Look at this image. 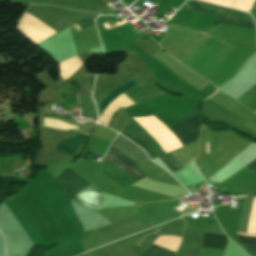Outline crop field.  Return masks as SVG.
Returning a JSON list of instances; mask_svg holds the SVG:
<instances>
[{"label":"crop field","mask_w":256,"mask_h":256,"mask_svg":"<svg viewBox=\"0 0 256 256\" xmlns=\"http://www.w3.org/2000/svg\"><path fill=\"white\" fill-rule=\"evenodd\" d=\"M134 86L133 81L131 80L130 82L126 83L125 85L121 86L118 88L116 91H114L112 94H110L98 107L101 111L104 110V108L111 102L113 101L120 93L123 91L129 89L130 87Z\"/></svg>","instance_id":"crop-field-8"},{"label":"crop field","mask_w":256,"mask_h":256,"mask_svg":"<svg viewBox=\"0 0 256 256\" xmlns=\"http://www.w3.org/2000/svg\"><path fill=\"white\" fill-rule=\"evenodd\" d=\"M169 129L183 146L190 144L198 140L200 116H193L175 126L169 127ZM121 134L138 143L151 159L165 154L157 142L133 118L129 119Z\"/></svg>","instance_id":"crop-field-2"},{"label":"crop field","mask_w":256,"mask_h":256,"mask_svg":"<svg viewBox=\"0 0 256 256\" xmlns=\"http://www.w3.org/2000/svg\"><path fill=\"white\" fill-rule=\"evenodd\" d=\"M112 147L122 152L136 165L149 159L139 147L135 146L121 135H118L116 140L113 142ZM112 147L110 148L107 161L117 166L137 180L145 177L131 160H129L126 156ZM109 162L106 163V167L102 175L118 183L124 189L137 181Z\"/></svg>","instance_id":"crop-field-1"},{"label":"crop field","mask_w":256,"mask_h":256,"mask_svg":"<svg viewBox=\"0 0 256 256\" xmlns=\"http://www.w3.org/2000/svg\"><path fill=\"white\" fill-rule=\"evenodd\" d=\"M227 238L204 234L202 249L223 253Z\"/></svg>","instance_id":"crop-field-6"},{"label":"crop field","mask_w":256,"mask_h":256,"mask_svg":"<svg viewBox=\"0 0 256 256\" xmlns=\"http://www.w3.org/2000/svg\"><path fill=\"white\" fill-rule=\"evenodd\" d=\"M43 126L60 129V130H65V131H67L68 129L78 130V127H76L72 124L65 123V122H62L59 120H55V119H48V118H44Z\"/></svg>","instance_id":"crop-field-7"},{"label":"crop field","mask_w":256,"mask_h":256,"mask_svg":"<svg viewBox=\"0 0 256 256\" xmlns=\"http://www.w3.org/2000/svg\"><path fill=\"white\" fill-rule=\"evenodd\" d=\"M77 95L74 87L67 89L62 92V99L65 100L67 103L75 102L77 101L75 96Z\"/></svg>","instance_id":"crop-field-11"},{"label":"crop field","mask_w":256,"mask_h":256,"mask_svg":"<svg viewBox=\"0 0 256 256\" xmlns=\"http://www.w3.org/2000/svg\"><path fill=\"white\" fill-rule=\"evenodd\" d=\"M57 178L71 199L89 185V183L68 168ZM106 195L107 194L90 184L72 200L96 212Z\"/></svg>","instance_id":"crop-field-3"},{"label":"crop field","mask_w":256,"mask_h":256,"mask_svg":"<svg viewBox=\"0 0 256 256\" xmlns=\"http://www.w3.org/2000/svg\"><path fill=\"white\" fill-rule=\"evenodd\" d=\"M170 162L171 164L176 168V169H180L182 168V166L176 161V159L170 154H166L164 155ZM164 156H160L159 158L161 159V161L173 172L176 171V169L170 164V162L164 157Z\"/></svg>","instance_id":"crop-field-9"},{"label":"crop field","mask_w":256,"mask_h":256,"mask_svg":"<svg viewBox=\"0 0 256 256\" xmlns=\"http://www.w3.org/2000/svg\"><path fill=\"white\" fill-rule=\"evenodd\" d=\"M87 138L88 135L78 133L59 143L56 150L73 156L80 143L86 145Z\"/></svg>","instance_id":"crop-field-5"},{"label":"crop field","mask_w":256,"mask_h":256,"mask_svg":"<svg viewBox=\"0 0 256 256\" xmlns=\"http://www.w3.org/2000/svg\"><path fill=\"white\" fill-rule=\"evenodd\" d=\"M237 234H240V233H237ZM241 235H247V234H241ZM241 235H238V239L256 242V238H253V237H256V236H254V235H247V236H253V237H247V236H241ZM241 240H239V241H240L247 249H249L251 252H256V243L247 242V241H241Z\"/></svg>","instance_id":"crop-field-10"},{"label":"crop field","mask_w":256,"mask_h":256,"mask_svg":"<svg viewBox=\"0 0 256 256\" xmlns=\"http://www.w3.org/2000/svg\"><path fill=\"white\" fill-rule=\"evenodd\" d=\"M206 148H207V143H206ZM207 153H208V148H207Z\"/></svg>","instance_id":"crop-field-15"},{"label":"crop field","mask_w":256,"mask_h":256,"mask_svg":"<svg viewBox=\"0 0 256 256\" xmlns=\"http://www.w3.org/2000/svg\"><path fill=\"white\" fill-rule=\"evenodd\" d=\"M76 26V28H77V30H79L80 28H79V26H77V25H75Z\"/></svg>","instance_id":"crop-field-14"},{"label":"crop field","mask_w":256,"mask_h":256,"mask_svg":"<svg viewBox=\"0 0 256 256\" xmlns=\"http://www.w3.org/2000/svg\"><path fill=\"white\" fill-rule=\"evenodd\" d=\"M141 256H173V255L149 246V248L143 254H141Z\"/></svg>","instance_id":"crop-field-12"},{"label":"crop field","mask_w":256,"mask_h":256,"mask_svg":"<svg viewBox=\"0 0 256 256\" xmlns=\"http://www.w3.org/2000/svg\"><path fill=\"white\" fill-rule=\"evenodd\" d=\"M247 166H249V167H251V168L256 170V159L253 162H251L249 165H247Z\"/></svg>","instance_id":"crop-field-13"},{"label":"crop field","mask_w":256,"mask_h":256,"mask_svg":"<svg viewBox=\"0 0 256 256\" xmlns=\"http://www.w3.org/2000/svg\"><path fill=\"white\" fill-rule=\"evenodd\" d=\"M80 256H82V255H80Z\"/></svg>","instance_id":"crop-field-16"},{"label":"crop field","mask_w":256,"mask_h":256,"mask_svg":"<svg viewBox=\"0 0 256 256\" xmlns=\"http://www.w3.org/2000/svg\"><path fill=\"white\" fill-rule=\"evenodd\" d=\"M183 8L219 17L217 23L256 30L251 16L243 12L195 0L186 1Z\"/></svg>","instance_id":"crop-field-4"}]
</instances>
